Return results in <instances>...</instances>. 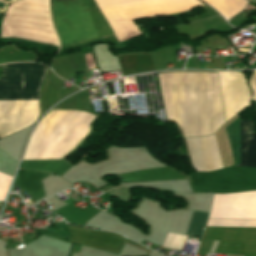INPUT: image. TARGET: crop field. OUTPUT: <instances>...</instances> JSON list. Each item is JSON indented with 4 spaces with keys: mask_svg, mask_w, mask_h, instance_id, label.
Returning a JSON list of instances; mask_svg holds the SVG:
<instances>
[{
    "mask_svg": "<svg viewBox=\"0 0 256 256\" xmlns=\"http://www.w3.org/2000/svg\"><path fill=\"white\" fill-rule=\"evenodd\" d=\"M214 7L226 20L240 12L247 0H203Z\"/></svg>",
    "mask_w": 256,
    "mask_h": 256,
    "instance_id": "obj_11",
    "label": "crop field"
},
{
    "mask_svg": "<svg viewBox=\"0 0 256 256\" xmlns=\"http://www.w3.org/2000/svg\"><path fill=\"white\" fill-rule=\"evenodd\" d=\"M50 175L45 172L19 170L14 185L31 193L39 200L45 197L41 180Z\"/></svg>",
    "mask_w": 256,
    "mask_h": 256,
    "instance_id": "obj_8",
    "label": "crop field"
},
{
    "mask_svg": "<svg viewBox=\"0 0 256 256\" xmlns=\"http://www.w3.org/2000/svg\"><path fill=\"white\" fill-rule=\"evenodd\" d=\"M252 121H240L241 165L256 168V134H251ZM225 168L188 176L195 194L229 193L256 190V169Z\"/></svg>",
    "mask_w": 256,
    "mask_h": 256,
    "instance_id": "obj_2",
    "label": "crop field"
},
{
    "mask_svg": "<svg viewBox=\"0 0 256 256\" xmlns=\"http://www.w3.org/2000/svg\"><path fill=\"white\" fill-rule=\"evenodd\" d=\"M47 68L35 63L2 65L0 101L38 102ZM38 103L0 102V138L35 123Z\"/></svg>",
    "mask_w": 256,
    "mask_h": 256,
    "instance_id": "obj_1",
    "label": "crop field"
},
{
    "mask_svg": "<svg viewBox=\"0 0 256 256\" xmlns=\"http://www.w3.org/2000/svg\"><path fill=\"white\" fill-rule=\"evenodd\" d=\"M122 75L155 70L147 54H133L118 57Z\"/></svg>",
    "mask_w": 256,
    "mask_h": 256,
    "instance_id": "obj_9",
    "label": "crop field"
},
{
    "mask_svg": "<svg viewBox=\"0 0 256 256\" xmlns=\"http://www.w3.org/2000/svg\"><path fill=\"white\" fill-rule=\"evenodd\" d=\"M59 89H57L52 83L46 80L42 90L41 96V108L42 111L48 108L57 99Z\"/></svg>",
    "mask_w": 256,
    "mask_h": 256,
    "instance_id": "obj_14",
    "label": "crop field"
},
{
    "mask_svg": "<svg viewBox=\"0 0 256 256\" xmlns=\"http://www.w3.org/2000/svg\"><path fill=\"white\" fill-rule=\"evenodd\" d=\"M202 238L220 240L214 253L256 256V228L206 227Z\"/></svg>",
    "mask_w": 256,
    "mask_h": 256,
    "instance_id": "obj_5",
    "label": "crop field"
},
{
    "mask_svg": "<svg viewBox=\"0 0 256 256\" xmlns=\"http://www.w3.org/2000/svg\"><path fill=\"white\" fill-rule=\"evenodd\" d=\"M118 43L140 35L131 20L188 11L198 0H96Z\"/></svg>",
    "mask_w": 256,
    "mask_h": 256,
    "instance_id": "obj_4",
    "label": "crop field"
},
{
    "mask_svg": "<svg viewBox=\"0 0 256 256\" xmlns=\"http://www.w3.org/2000/svg\"><path fill=\"white\" fill-rule=\"evenodd\" d=\"M188 239L187 236L176 235L168 233L162 247L182 249L185 241Z\"/></svg>",
    "mask_w": 256,
    "mask_h": 256,
    "instance_id": "obj_15",
    "label": "crop field"
},
{
    "mask_svg": "<svg viewBox=\"0 0 256 256\" xmlns=\"http://www.w3.org/2000/svg\"><path fill=\"white\" fill-rule=\"evenodd\" d=\"M69 227L71 242H76L112 252L118 253L125 239L110 233L88 231L84 229Z\"/></svg>",
    "mask_w": 256,
    "mask_h": 256,
    "instance_id": "obj_6",
    "label": "crop field"
},
{
    "mask_svg": "<svg viewBox=\"0 0 256 256\" xmlns=\"http://www.w3.org/2000/svg\"><path fill=\"white\" fill-rule=\"evenodd\" d=\"M207 216L206 213L193 211L186 235L200 238L204 229L202 224L206 223Z\"/></svg>",
    "mask_w": 256,
    "mask_h": 256,
    "instance_id": "obj_13",
    "label": "crop field"
},
{
    "mask_svg": "<svg viewBox=\"0 0 256 256\" xmlns=\"http://www.w3.org/2000/svg\"><path fill=\"white\" fill-rule=\"evenodd\" d=\"M118 178L120 183L186 179L183 174L168 167L122 174Z\"/></svg>",
    "mask_w": 256,
    "mask_h": 256,
    "instance_id": "obj_7",
    "label": "crop field"
},
{
    "mask_svg": "<svg viewBox=\"0 0 256 256\" xmlns=\"http://www.w3.org/2000/svg\"><path fill=\"white\" fill-rule=\"evenodd\" d=\"M69 0H51V10ZM61 48L114 35L94 0H71L52 11Z\"/></svg>",
    "mask_w": 256,
    "mask_h": 256,
    "instance_id": "obj_3",
    "label": "crop field"
},
{
    "mask_svg": "<svg viewBox=\"0 0 256 256\" xmlns=\"http://www.w3.org/2000/svg\"><path fill=\"white\" fill-rule=\"evenodd\" d=\"M72 165L63 160H42V161H22L19 168H29L39 171L51 172L61 176Z\"/></svg>",
    "mask_w": 256,
    "mask_h": 256,
    "instance_id": "obj_10",
    "label": "crop field"
},
{
    "mask_svg": "<svg viewBox=\"0 0 256 256\" xmlns=\"http://www.w3.org/2000/svg\"><path fill=\"white\" fill-rule=\"evenodd\" d=\"M36 54L16 49L15 45L0 49V64L16 61H35Z\"/></svg>",
    "mask_w": 256,
    "mask_h": 256,
    "instance_id": "obj_12",
    "label": "crop field"
}]
</instances>
